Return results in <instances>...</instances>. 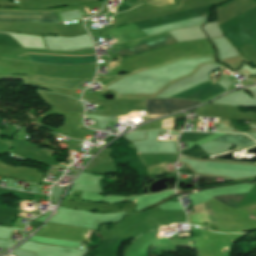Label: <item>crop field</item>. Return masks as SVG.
<instances>
[{
  "mask_svg": "<svg viewBox=\"0 0 256 256\" xmlns=\"http://www.w3.org/2000/svg\"><path fill=\"white\" fill-rule=\"evenodd\" d=\"M214 141L234 143V144H239V145H249V144L256 143L248 137L239 136V135H231V134H225L217 139H214Z\"/></svg>",
  "mask_w": 256,
  "mask_h": 256,
  "instance_id": "obj_6",
  "label": "crop field"
},
{
  "mask_svg": "<svg viewBox=\"0 0 256 256\" xmlns=\"http://www.w3.org/2000/svg\"><path fill=\"white\" fill-rule=\"evenodd\" d=\"M246 193L216 197L214 199L222 202L225 205H228V206H231V207L235 208L239 204V202L242 200V198L246 195Z\"/></svg>",
  "mask_w": 256,
  "mask_h": 256,
  "instance_id": "obj_7",
  "label": "crop field"
},
{
  "mask_svg": "<svg viewBox=\"0 0 256 256\" xmlns=\"http://www.w3.org/2000/svg\"><path fill=\"white\" fill-rule=\"evenodd\" d=\"M0 14L56 15L55 12H26V11H0ZM0 21L58 22L57 19H27V18H0Z\"/></svg>",
  "mask_w": 256,
  "mask_h": 256,
  "instance_id": "obj_5",
  "label": "crop field"
},
{
  "mask_svg": "<svg viewBox=\"0 0 256 256\" xmlns=\"http://www.w3.org/2000/svg\"><path fill=\"white\" fill-rule=\"evenodd\" d=\"M145 102L148 114L174 112L200 104L199 102L175 99L145 100Z\"/></svg>",
  "mask_w": 256,
  "mask_h": 256,
  "instance_id": "obj_2",
  "label": "crop field"
},
{
  "mask_svg": "<svg viewBox=\"0 0 256 256\" xmlns=\"http://www.w3.org/2000/svg\"><path fill=\"white\" fill-rule=\"evenodd\" d=\"M29 60L37 63L60 64V65H80L96 62L95 56L69 57V56H52L28 54Z\"/></svg>",
  "mask_w": 256,
  "mask_h": 256,
  "instance_id": "obj_3",
  "label": "crop field"
},
{
  "mask_svg": "<svg viewBox=\"0 0 256 256\" xmlns=\"http://www.w3.org/2000/svg\"><path fill=\"white\" fill-rule=\"evenodd\" d=\"M167 37H171L168 32L162 33V34H158V35H154V36H150V37H146V38H142V39H139V40H136V41H132V42H129V43L118 44V45H115L114 50L116 51V50H120V49H124V48H128V47L140 45V44H143V43H147V42H151V41L167 38ZM169 39H173V37L167 38V39H163V40H159V41H155V42H151V43H147V44L136 46V47H132V48H128V49H124V50H120V51H116V53L122 52V51H126V50H130V49H134V48H138V47H142V46L153 44V43H157V42H161V41H165V40H169ZM173 43H177V41L175 39H173V40H169V41H165V42L149 45V46H146V47H142V48H138V49H134V50L118 53V55L120 57L133 56V55H137V54H140V53H143V52H146V51L158 48V47L170 45V44H173Z\"/></svg>",
  "mask_w": 256,
  "mask_h": 256,
  "instance_id": "obj_1",
  "label": "crop field"
},
{
  "mask_svg": "<svg viewBox=\"0 0 256 256\" xmlns=\"http://www.w3.org/2000/svg\"><path fill=\"white\" fill-rule=\"evenodd\" d=\"M222 92L224 91L218 84L211 86L208 82H206L202 85H199L193 89H190L172 98H184V99L205 101Z\"/></svg>",
  "mask_w": 256,
  "mask_h": 256,
  "instance_id": "obj_4",
  "label": "crop field"
},
{
  "mask_svg": "<svg viewBox=\"0 0 256 256\" xmlns=\"http://www.w3.org/2000/svg\"><path fill=\"white\" fill-rule=\"evenodd\" d=\"M181 155L200 158L206 155V152L199 144L196 143L190 149L181 151Z\"/></svg>",
  "mask_w": 256,
  "mask_h": 256,
  "instance_id": "obj_8",
  "label": "crop field"
},
{
  "mask_svg": "<svg viewBox=\"0 0 256 256\" xmlns=\"http://www.w3.org/2000/svg\"><path fill=\"white\" fill-rule=\"evenodd\" d=\"M88 13V12H87ZM89 14V13H88Z\"/></svg>",
  "mask_w": 256,
  "mask_h": 256,
  "instance_id": "obj_9",
  "label": "crop field"
}]
</instances>
